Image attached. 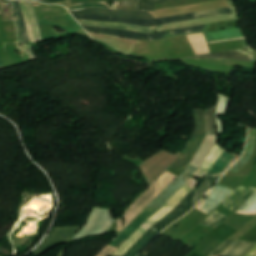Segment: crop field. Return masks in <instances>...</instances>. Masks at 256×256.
I'll return each instance as SVG.
<instances>
[{
    "mask_svg": "<svg viewBox=\"0 0 256 256\" xmlns=\"http://www.w3.org/2000/svg\"><path fill=\"white\" fill-rule=\"evenodd\" d=\"M215 177H210L205 179L196 189L191 191L185 198L184 200L176 206L169 214H167L162 220H160L156 225H154L150 230L156 232L159 230L164 224H166L168 221L171 219L175 218L179 214H181L187 207H189L195 199L204 191V189L212 182V180ZM220 177H216L214 181L206 188V190L197 198V200L189 207L187 208L181 215L176 217L175 219L171 220L168 222L166 225H164L159 231L156 233L152 231L146 232L140 240L129 250L127 251L124 256H137L140 251L148 245V243L155 238L159 232L164 230L165 227L169 226L172 224L174 221L177 219L183 217L189 210H191L199 201L200 199L205 195V193L213 186V184L219 179ZM142 252V251H141Z\"/></svg>",
    "mask_w": 256,
    "mask_h": 256,
    "instance_id": "crop-field-1",
    "label": "crop field"
},
{
    "mask_svg": "<svg viewBox=\"0 0 256 256\" xmlns=\"http://www.w3.org/2000/svg\"><path fill=\"white\" fill-rule=\"evenodd\" d=\"M229 13H233L230 7L200 11V12L174 16V17L160 18L155 20H138V19H131V18L99 16V15H73V16L79 19H92V20H98V21H115V22L138 24L143 26H155V25L166 24L171 22L199 19V18H204L208 16L229 14Z\"/></svg>",
    "mask_w": 256,
    "mask_h": 256,
    "instance_id": "crop-field-2",
    "label": "crop field"
},
{
    "mask_svg": "<svg viewBox=\"0 0 256 256\" xmlns=\"http://www.w3.org/2000/svg\"><path fill=\"white\" fill-rule=\"evenodd\" d=\"M116 223L110 210L94 208L85 228L72 240L77 241L89 237L104 235Z\"/></svg>",
    "mask_w": 256,
    "mask_h": 256,
    "instance_id": "crop-field-3",
    "label": "crop field"
},
{
    "mask_svg": "<svg viewBox=\"0 0 256 256\" xmlns=\"http://www.w3.org/2000/svg\"><path fill=\"white\" fill-rule=\"evenodd\" d=\"M195 118L197 122V130L194 133L184 155L180 157L169 169L179 168L186 166L195 155L198 147L205 137V121L203 117V109L195 110ZM168 169V170H169Z\"/></svg>",
    "mask_w": 256,
    "mask_h": 256,
    "instance_id": "crop-field-4",
    "label": "crop field"
},
{
    "mask_svg": "<svg viewBox=\"0 0 256 256\" xmlns=\"http://www.w3.org/2000/svg\"><path fill=\"white\" fill-rule=\"evenodd\" d=\"M160 208L161 207L144 210L142 213H140L136 217V219L131 224H129L125 228V230L121 233V235L116 240H114L110 245L118 248L134 233V231L139 226H141L148 218H150ZM111 246H107L98 256H110L116 250V248Z\"/></svg>",
    "mask_w": 256,
    "mask_h": 256,
    "instance_id": "crop-field-5",
    "label": "crop field"
},
{
    "mask_svg": "<svg viewBox=\"0 0 256 256\" xmlns=\"http://www.w3.org/2000/svg\"><path fill=\"white\" fill-rule=\"evenodd\" d=\"M81 226L53 228L50 235L33 252L36 255L44 253L52 246L69 242Z\"/></svg>",
    "mask_w": 256,
    "mask_h": 256,
    "instance_id": "crop-field-6",
    "label": "crop field"
},
{
    "mask_svg": "<svg viewBox=\"0 0 256 256\" xmlns=\"http://www.w3.org/2000/svg\"><path fill=\"white\" fill-rule=\"evenodd\" d=\"M198 168L189 165L184 172L169 185L147 208L163 206L165 202L187 181Z\"/></svg>",
    "mask_w": 256,
    "mask_h": 256,
    "instance_id": "crop-field-7",
    "label": "crop field"
},
{
    "mask_svg": "<svg viewBox=\"0 0 256 256\" xmlns=\"http://www.w3.org/2000/svg\"><path fill=\"white\" fill-rule=\"evenodd\" d=\"M233 189L216 185L207 195V198L197 207V209L209 214L218 204L226 198Z\"/></svg>",
    "mask_w": 256,
    "mask_h": 256,
    "instance_id": "crop-field-8",
    "label": "crop field"
},
{
    "mask_svg": "<svg viewBox=\"0 0 256 256\" xmlns=\"http://www.w3.org/2000/svg\"><path fill=\"white\" fill-rule=\"evenodd\" d=\"M159 191L157 181L154 182V184L150 187V189L145 192L138 200L137 202L126 212L124 215L126 219L125 226L136 216L138 215L142 209L151 202L157 195Z\"/></svg>",
    "mask_w": 256,
    "mask_h": 256,
    "instance_id": "crop-field-9",
    "label": "crop field"
},
{
    "mask_svg": "<svg viewBox=\"0 0 256 256\" xmlns=\"http://www.w3.org/2000/svg\"><path fill=\"white\" fill-rule=\"evenodd\" d=\"M72 14H102V15H118L126 17H134L139 19H154L147 12L140 11H124V10H109L101 8H88L79 11H70Z\"/></svg>",
    "mask_w": 256,
    "mask_h": 256,
    "instance_id": "crop-field-10",
    "label": "crop field"
},
{
    "mask_svg": "<svg viewBox=\"0 0 256 256\" xmlns=\"http://www.w3.org/2000/svg\"><path fill=\"white\" fill-rule=\"evenodd\" d=\"M81 26L88 29V30H92V31L100 32V33L114 34V35H119V36H122V37L142 39V40L161 39L167 33V31H166V32L159 33V34H142V33H136V32H131V31L119 30V29L94 28V27H88V26H83V25H81Z\"/></svg>",
    "mask_w": 256,
    "mask_h": 256,
    "instance_id": "crop-field-11",
    "label": "crop field"
},
{
    "mask_svg": "<svg viewBox=\"0 0 256 256\" xmlns=\"http://www.w3.org/2000/svg\"><path fill=\"white\" fill-rule=\"evenodd\" d=\"M188 58H213V59H234L254 62L253 51L251 49H241L235 51L205 54L201 56H192Z\"/></svg>",
    "mask_w": 256,
    "mask_h": 256,
    "instance_id": "crop-field-12",
    "label": "crop field"
},
{
    "mask_svg": "<svg viewBox=\"0 0 256 256\" xmlns=\"http://www.w3.org/2000/svg\"><path fill=\"white\" fill-rule=\"evenodd\" d=\"M78 21L85 23V24H89V25L124 28V29H131V30L142 31V32H155L157 30V28L159 27V26L141 27V26L127 25V24H123V23H104V22H93V21H83V20H78Z\"/></svg>",
    "mask_w": 256,
    "mask_h": 256,
    "instance_id": "crop-field-13",
    "label": "crop field"
},
{
    "mask_svg": "<svg viewBox=\"0 0 256 256\" xmlns=\"http://www.w3.org/2000/svg\"><path fill=\"white\" fill-rule=\"evenodd\" d=\"M251 132H256V131L249 129L248 142H247L245 153L237 161V163L230 169V171L237 173L243 167V165L246 163V161L249 159V157L251 156L254 146H255L254 145L255 140H253V139H256V133H252L251 138H253V139H250Z\"/></svg>",
    "mask_w": 256,
    "mask_h": 256,
    "instance_id": "crop-field-14",
    "label": "crop field"
},
{
    "mask_svg": "<svg viewBox=\"0 0 256 256\" xmlns=\"http://www.w3.org/2000/svg\"><path fill=\"white\" fill-rule=\"evenodd\" d=\"M255 244L256 242L237 241L222 256H244L253 248Z\"/></svg>",
    "mask_w": 256,
    "mask_h": 256,
    "instance_id": "crop-field-15",
    "label": "crop field"
},
{
    "mask_svg": "<svg viewBox=\"0 0 256 256\" xmlns=\"http://www.w3.org/2000/svg\"><path fill=\"white\" fill-rule=\"evenodd\" d=\"M14 3H15L18 18H19V21H20V26H21V30H22V34H23V38H24L25 48L28 52V55H29L30 59L36 58L35 55H34L33 47L31 45L30 40H29L28 35H27L26 26H25V22H24V19H23V16H22L20 4H19L18 1H14Z\"/></svg>",
    "mask_w": 256,
    "mask_h": 256,
    "instance_id": "crop-field-16",
    "label": "crop field"
},
{
    "mask_svg": "<svg viewBox=\"0 0 256 256\" xmlns=\"http://www.w3.org/2000/svg\"><path fill=\"white\" fill-rule=\"evenodd\" d=\"M187 37H188L196 55L210 52L203 33L196 34V35H190Z\"/></svg>",
    "mask_w": 256,
    "mask_h": 256,
    "instance_id": "crop-field-17",
    "label": "crop field"
},
{
    "mask_svg": "<svg viewBox=\"0 0 256 256\" xmlns=\"http://www.w3.org/2000/svg\"><path fill=\"white\" fill-rule=\"evenodd\" d=\"M215 107L205 111V119L207 126V135L216 134V126H215Z\"/></svg>",
    "mask_w": 256,
    "mask_h": 256,
    "instance_id": "crop-field-18",
    "label": "crop field"
},
{
    "mask_svg": "<svg viewBox=\"0 0 256 256\" xmlns=\"http://www.w3.org/2000/svg\"><path fill=\"white\" fill-rule=\"evenodd\" d=\"M234 156L229 155L227 153H223L222 156L218 159L213 169L210 171V173L214 172H224L226 166L230 163V161L233 159ZM209 173V174H210Z\"/></svg>",
    "mask_w": 256,
    "mask_h": 256,
    "instance_id": "crop-field-19",
    "label": "crop field"
},
{
    "mask_svg": "<svg viewBox=\"0 0 256 256\" xmlns=\"http://www.w3.org/2000/svg\"><path fill=\"white\" fill-rule=\"evenodd\" d=\"M174 0H137L136 10H153L154 5Z\"/></svg>",
    "mask_w": 256,
    "mask_h": 256,
    "instance_id": "crop-field-20",
    "label": "crop field"
},
{
    "mask_svg": "<svg viewBox=\"0 0 256 256\" xmlns=\"http://www.w3.org/2000/svg\"><path fill=\"white\" fill-rule=\"evenodd\" d=\"M239 210H243V211L256 210V192L247 200V202ZM237 212L242 214H248V215L256 214V211H251V212L237 211Z\"/></svg>",
    "mask_w": 256,
    "mask_h": 256,
    "instance_id": "crop-field-21",
    "label": "crop field"
},
{
    "mask_svg": "<svg viewBox=\"0 0 256 256\" xmlns=\"http://www.w3.org/2000/svg\"><path fill=\"white\" fill-rule=\"evenodd\" d=\"M20 4H21V7H22L24 19H25V22H26L29 38H30L31 41H36L35 36H34V32H33V28H32V23L30 21L29 14H28V11H27L26 4H25L24 1H20Z\"/></svg>",
    "mask_w": 256,
    "mask_h": 256,
    "instance_id": "crop-field-22",
    "label": "crop field"
},
{
    "mask_svg": "<svg viewBox=\"0 0 256 256\" xmlns=\"http://www.w3.org/2000/svg\"><path fill=\"white\" fill-rule=\"evenodd\" d=\"M27 7H28L29 14H30V18L33 22V28H34V32H35L37 41L41 42L42 38H41V34H40V28L38 26L36 16H35V12H34V9H33V6L31 4V2H27Z\"/></svg>",
    "mask_w": 256,
    "mask_h": 256,
    "instance_id": "crop-field-23",
    "label": "crop field"
},
{
    "mask_svg": "<svg viewBox=\"0 0 256 256\" xmlns=\"http://www.w3.org/2000/svg\"><path fill=\"white\" fill-rule=\"evenodd\" d=\"M227 218L228 217L215 211L208 219L202 222V224H205L207 226H213L223 222Z\"/></svg>",
    "mask_w": 256,
    "mask_h": 256,
    "instance_id": "crop-field-24",
    "label": "crop field"
},
{
    "mask_svg": "<svg viewBox=\"0 0 256 256\" xmlns=\"http://www.w3.org/2000/svg\"><path fill=\"white\" fill-rule=\"evenodd\" d=\"M177 176L166 172L159 179L160 192L163 191Z\"/></svg>",
    "mask_w": 256,
    "mask_h": 256,
    "instance_id": "crop-field-25",
    "label": "crop field"
},
{
    "mask_svg": "<svg viewBox=\"0 0 256 256\" xmlns=\"http://www.w3.org/2000/svg\"><path fill=\"white\" fill-rule=\"evenodd\" d=\"M205 25L206 24L200 25V26H194V27H186V28L175 29V30H172V34H181V33H188V32H194V31L202 30V29L205 28Z\"/></svg>",
    "mask_w": 256,
    "mask_h": 256,
    "instance_id": "crop-field-26",
    "label": "crop field"
},
{
    "mask_svg": "<svg viewBox=\"0 0 256 256\" xmlns=\"http://www.w3.org/2000/svg\"><path fill=\"white\" fill-rule=\"evenodd\" d=\"M255 190V188L251 187L230 210L235 211L238 209L253 194Z\"/></svg>",
    "mask_w": 256,
    "mask_h": 256,
    "instance_id": "crop-field-27",
    "label": "crop field"
},
{
    "mask_svg": "<svg viewBox=\"0 0 256 256\" xmlns=\"http://www.w3.org/2000/svg\"><path fill=\"white\" fill-rule=\"evenodd\" d=\"M136 6L135 0H120L118 9L134 10Z\"/></svg>",
    "mask_w": 256,
    "mask_h": 256,
    "instance_id": "crop-field-28",
    "label": "crop field"
},
{
    "mask_svg": "<svg viewBox=\"0 0 256 256\" xmlns=\"http://www.w3.org/2000/svg\"><path fill=\"white\" fill-rule=\"evenodd\" d=\"M92 6L109 8L105 2H95V3H89V4H77V5H74V7H71L68 9H81V8H87V7H92Z\"/></svg>",
    "mask_w": 256,
    "mask_h": 256,
    "instance_id": "crop-field-29",
    "label": "crop field"
},
{
    "mask_svg": "<svg viewBox=\"0 0 256 256\" xmlns=\"http://www.w3.org/2000/svg\"><path fill=\"white\" fill-rule=\"evenodd\" d=\"M246 188L244 187H240L239 189H237L233 194H231L227 200L225 201L224 206H226L227 208L236 200V198L239 196V194L244 191Z\"/></svg>",
    "mask_w": 256,
    "mask_h": 256,
    "instance_id": "crop-field-30",
    "label": "crop field"
},
{
    "mask_svg": "<svg viewBox=\"0 0 256 256\" xmlns=\"http://www.w3.org/2000/svg\"><path fill=\"white\" fill-rule=\"evenodd\" d=\"M234 242V240H227L225 241L223 244H221L217 249H215L210 256L216 255V254H221L223 251H225L226 249H228L232 243Z\"/></svg>",
    "mask_w": 256,
    "mask_h": 256,
    "instance_id": "crop-field-31",
    "label": "crop field"
},
{
    "mask_svg": "<svg viewBox=\"0 0 256 256\" xmlns=\"http://www.w3.org/2000/svg\"><path fill=\"white\" fill-rule=\"evenodd\" d=\"M15 23H16V27H17V37H18V41H23V40H22V36H21V32H20V27H19V22H18V20L15 21Z\"/></svg>",
    "mask_w": 256,
    "mask_h": 256,
    "instance_id": "crop-field-32",
    "label": "crop field"
},
{
    "mask_svg": "<svg viewBox=\"0 0 256 256\" xmlns=\"http://www.w3.org/2000/svg\"><path fill=\"white\" fill-rule=\"evenodd\" d=\"M60 1H64V0H40L38 2L52 4V3H56V2H60Z\"/></svg>",
    "mask_w": 256,
    "mask_h": 256,
    "instance_id": "crop-field-33",
    "label": "crop field"
},
{
    "mask_svg": "<svg viewBox=\"0 0 256 256\" xmlns=\"http://www.w3.org/2000/svg\"><path fill=\"white\" fill-rule=\"evenodd\" d=\"M246 256H256V246Z\"/></svg>",
    "mask_w": 256,
    "mask_h": 256,
    "instance_id": "crop-field-34",
    "label": "crop field"
},
{
    "mask_svg": "<svg viewBox=\"0 0 256 256\" xmlns=\"http://www.w3.org/2000/svg\"><path fill=\"white\" fill-rule=\"evenodd\" d=\"M122 228H123V223H122V220H121V219H119V221H118V229H117V231H121V230H122Z\"/></svg>",
    "mask_w": 256,
    "mask_h": 256,
    "instance_id": "crop-field-35",
    "label": "crop field"
},
{
    "mask_svg": "<svg viewBox=\"0 0 256 256\" xmlns=\"http://www.w3.org/2000/svg\"><path fill=\"white\" fill-rule=\"evenodd\" d=\"M4 68H5L4 63H3V61H2V59L0 57V69H4Z\"/></svg>",
    "mask_w": 256,
    "mask_h": 256,
    "instance_id": "crop-field-36",
    "label": "crop field"
},
{
    "mask_svg": "<svg viewBox=\"0 0 256 256\" xmlns=\"http://www.w3.org/2000/svg\"><path fill=\"white\" fill-rule=\"evenodd\" d=\"M11 4H12V6H13V12H14L13 18H14L15 16H17V15H16V10H15V8H14L13 1H11Z\"/></svg>",
    "mask_w": 256,
    "mask_h": 256,
    "instance_id": "crop-field-37",
    "label": "crop field"
}]
</instances>
